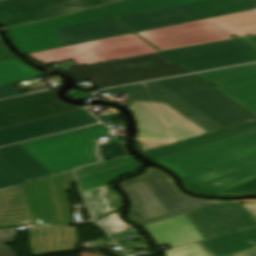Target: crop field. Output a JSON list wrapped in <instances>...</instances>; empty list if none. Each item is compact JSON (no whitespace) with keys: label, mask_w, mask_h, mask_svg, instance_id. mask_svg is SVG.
I'll use <instances>...</instances> for the list:
<instances>
[{"label":"crop field","mask_w":256,"mask_h":256,"mask_svg":"<svg viewBox=\"0 0 256 256\" xmlns=\"http://www.w3.org/2000/svg\"><path fill=\"white\" fill-rule=\"evenodd\" d=\"M96 223L103 227L110 235L133 229L132 226L125 224L119 219L118 212L106 216L96 221Z\"/></svg>","instance_id":"27"},{"label":"crop field","mask_w":256,"mask_h":256,"mask_svg":"<svg viewBox=\"0 0 256 256\" xmlns=\"http://www.w3.org/2000/svg\"><path fill=\"white\" fill-rule=\"evenodd\" d=\"M256 114V64L197 74Z\"/></svg>","instance_id":"17"},{"label":"crop field","mask_w":256,"mask_h":256,"mask_svg":"<svg viewBox=\"0 0 256 256\" xmlns=\"http://www.w3.org/2000/svg\"><path fill=\"white\" fill-rule=\"evenodd\" d=\"M73 181L70 172L22 186L34 226L72 223L66 191Z\"/></svg>","instance_id":"10"},{"label":"crop field","mask_w":256,"mask_h":256,"mask_svg":"<svg viewBox=\"0 0 256 256\" xmlns=\"http://www.w3.org/2000/svg\"><path fill=\"white\" fill-rule=\"evenodd\" d=\"M144 228L157 245L167 244L170 248L204 240L185 214L144 226Z\"/></svg>","instance_id":"20"},{"label":"crop field","mask_w":256,"mask_h":256,"mask_svg":"<svg viewBox=\"0 0 256 256\" xmlns=\"http://www.w3.org/2000/svg\"><path fill=\"white\" fill-rule=\"evenodd\" d=\"M166 256H209L194 244L165 251Z\"/></svg>","instance_id":"30"},{"label":"crop field","mask_w":256,"mask_h":256,"mask_svg":"<svg viewBox=\"0 0 256 256\" xmlns=\"http://www.w3.org/2000/svg\"><path fill=\"white\" fill-rule=\"evenodd\" d=\"M64 47L130 34L111 19L57 29Z\"/></svg>","instance_id":"21"},{"label":"crop field","mask_w":256,"mask_h":256,"mask_svg":"<svg viewBox=\"0 0 256 256\" xmlns=\"http://www.w3.org/2000/svg\"><path fill=\"white\" fill-rule=\"evenodd\" d=\"M14 55L4 46L2 41H0V59L13 57Z\"/></svg>","instance_id":"33"},{"label":"crop field","mask_w":256,"mask_h":256,"mask_svg":"<svg viewBox=\"0 0 256 256\" xmlns=\"http://www.w3.org/2000/svg\"><path fill=\"white\" fill-rule=\"evenodd\" d=\"M186 215L205 239L256 225L239 203H223Z\"/></svg>","instance_id":"16"},{"label":"crop field","mask_w":256,"mask_h":256,"mask_svg":"<svg viewBox=\"0 0 256 256\" xmlns=\"http://www.w3.org/2000/svg\"><path fill=\"white\" fill-rule=\"evenodd\" d=\"M251 9H256V0H204L116 18V20L137 33Z\"/></svg>","instance_id":"6"},{"label":"crop field","mask_w":256,"mask_h":256,"mask_svg":"<svg viewBox=\"0 0 256 256\" xmlns=\"http://www.w3.org/2000/svg\"><path fill=\"white\" fill-rule=\"evenodd\" d=\"M46 76L25 65L19 59L0 61V85Z\"/></svg>","instance_id":"26"},{"label":"crop field","mask_w":256,"mask_h":256,"mask_svg":"<svg viewBox=\"0 0 256 256\" xmlns=\"http://www.w3.org/2000/svg\"><path fill=\"white\" fill-rule=\"evenodd\" d=\"M243 206L251 215L256 214V204H243Z\"/></svg>","instance_id":"35"},{"label":"crop field","mask_w":256,"mask_h":256,"mask_svg":"<svg viewBox=\"0 0 256 256\" xmlns=\"http://www.w3.org/2000/svg\"><path fill=\"white\" fill-rule=\"evenodd\" d=\"M256 34V10L137 33L163 50Z\"/></svg>","instance_id":"3"},{"label":"crop field","mask_w":256,"mask_h":256,"mask_svg":"<svg viewBox=\"0 0 256 256\" xmlns=\"http://www.w3.org/2000/svg\"><path fill=\"white\" fill-rule=\"evenodd\" d=\"M52 176L18 145L0 149V189Z\"/></svg>","instance_id":"19"},{"label":"crop field","mask_w":256,"mask_h":256,"mask_svg":"<svg viewBox=\"0 0 256 256\" xmlns=\"http://www.w3.org/2000/svg\"><path fill=\"white\" fill-rule=\"evenodd\" d=\"M192 72L256 62V50L240 39L164 51Z\"/></svg>","instance_id":"11"},{"label":"crop field","mask_w":256,"mask_h":256,"mask_svg":"<svg viewBox=\"0 0 256 256\" xmlns=\"http://www.w3.org/2000/svg\"><path fill=\"white\" fill-rule=\"evenodd\" d=\"M256 153V132L155 160L181 179Z\"/></svg>","instance_id":"8"},{"label":"crop field","mask_w":256,"mask_h":256,"mask_svg":"<svg viewBox=\"0 0 256 256\" xmlns=\"http://www.w3.org/2000/svg\"><path fill=\"white\" fill-rule=\"evenodd\" d=\"M98 123L85 110L0 130V147Z\"/></svg>","instance_id":"18"},{"label":"crop field","mask_w":256,"mask_h":256,"mask_svg":"<svg viewBox=\"0 0 256 256\" xmlns=\"http://www.w3.org/2000/svg\"><path fill=\"white\" fill-rule=\"evenodd\" d=\"M102 19L108 17L94 8L45 22L9 28L8 32L17 47L28 54L63 47L55 32L57 28Z\"/></svg>","instance_id":"12"},{"label":"crop field","mask_w":256,"mask_h":256,"mask_svg":"<svg viewBox=\"0 0 256 256\" xmlns=\"http://www.w3.org/2000/svg\"><path fill=\"white\" fill-rule=\"evenodd\" d=\"M212 256H232L256 249V226L196 242Z\"/></svg>","instance_id":"23"},{"label":"crop field","mask_w":256,"mask_h":256,"mask_svg":"<svg viewBox=\"0 0 256 256\" xmlns=\"http://www.w3.org/2000/svg\"><path fill=\"white\" fill-rule=\"evenodd\" d=\"M33 255L75 249L78 243L74 227L30 229Z\"/></svg>","instance_id":"24"},{"label":"crop field","mask_w":256,"mask_h":256,"mask_svg":"<svg viewBox=\"0 0 256 256\" xmlns=\"http://www.w3.org/2000/svg\"><path fill=\"white\" fill-rule=\"evenodd\" d=\"M120 184L131 201L129 218L141 226L223 203L191 198L177 190L169 176L153 168Z\"/></svg>","instance_id":"2"},{"label":"crop field","mask_w":256,"mask_h":256,"mask_svg":"<svg viewBox=\"0 0 256 256\" xmlns=\"http://www.w3.org/2000/svg\"><path fill=\"white\" fill-rule=\"evenodd\" d=\"M98 153L103 161L125 156L126 152L122 141H110V143L99 146Z\"/></svg>","instance_id":"28"},{"label":"crop field","mask_w":256,"mask_h":256,"mask_svg":"<svg viewBox=\"0 0 256 256\" xmlns=\"http://www.w3.org/2000/svg\"><path fill=\"white\" fill-rule=\"evenodd\" d=\"M15 229L0 230V256H16L5 244L14 242Z\"/></svg>","instance_id":"29"},{"label":"crop field","mask_w":256,"mask_h":256,"mask_svg":"<svg viewBox=\"0 0 256 256\" xmlns=\"http://www.w3.org/2000/svg\"><path fill=\"white\" fill-rule=\"evenodd\" d=\"M193 1L198 0H123L98 8L116 18Z\"/></svg>","instance_id":"25"},{"label":"crop field","mask_w":256,"mask_h":256,"mask_svg":"<svg viewBox=\"0 0 256 256\" xmlns=\"http://www.w3.org/2000/svg\"><path fill=\"white\" fill-rule=\"evenodd\" d=\"M86 1H88L89 3L97 6V5H101V4H104V3L112 2V1H115V0H86Z\"/></svg>","instance_id":"36"},{"label":"crop field","mask_w":256,"mask_h":256,"mask_svg":"<svg viewBox=\"0 0 256 256\" xmlns=\"http://www.w3.org/2000/svg\"><path fill=\"white\" fill-rule=\"evenodd\" d=\"M107 134L108 130L98 125L19 146L55 175L97 162L94 146L99 143L100 137H106Z\"/></svg>","instance_id":"4"},{"label":"crop field","mask_w":256,"mask_h":256,"mask_svg":"<svg viewBox=\"0 0 256 256\" xmlns=\"http://www.w3.org/2000/svg\"><path fill=\"white\" fill-rule=\"evenodd\" d=\"M156 52L134 34L86 43L82 45L28 54L48 65L72 60L77 66Z\"/></svg>","instance_id":"9"},{"label":"crop field","mask_w":256,"mask_h":256,"mask_svg":"<svg viewBox=\"0 0 256 256\" xmlns=\"http://www.w3.org/2000/svg\"><path fill=\"white\" fill-rule=\"evenodd\" d=\"M77 82L91 81L99 89L188 74L162 53L63 70Z\"/></svg>","instance_id":"5"},{"label":"crop field","mask_w":256,"mask_h":256,"mask_svg":"<svg viewBox=\"0 0 256 256\" xmlns=\"http://www.w3.org/2000/svg\"><path fill=\"white\" fill-rule=\"evenodd\" d=\"M236 256H256V250L249 251V252L239 254V255H236Z\"/></svg>","instance_id":"37"},{"label":"crop field","mask_w":256,"mask_h":256,"mask_svg":"<svg viewBox=\"0 0 256 256\" xmlns=\"http://www.w3.org/2000/svg\"><path fill=\"white\" fill-rule=\"evenodd\" d=\"M56 91L0 101V128L47 118L77 110L55 97Z\"/></svg>","instance_id":"13"},{"label":"crop field","mask_w":256,"mask_h":256,"mask_svg":"<svg viewBox=\"0 0 256 256\" xmlns=\"http://www.w3.org/2000/svg\"><path fill=\"white\" fill-rule=\"evenodd\" d=\"M242 40L256 49V36L242 38Z\"/></svg>","instance_id":"34"},{"label":"crop field","mask_w":256,"mask_h":256,"mask_svg":"<svg viewBox=\"0 0 256 256\" xmlns=\"http://www.w3.org/2000/svg\"><path fill=\"white\" fill-rule=\"evenodd\" d=\"M96 92H124L133 100L138 138L178 142L207 132L256 120V116L233 103L193 75Z\"/></svg>","instance_id":"1"},{"label":"crop field","mask_w":256,"mask_h":256,"mask_svg":"<svg viewBox=\"0 0 256 256\" xmlns=\"http://www.w3.org/2000/svg\"><path fill=\"white\" fill-rule=\"evenodd\" d=\"M88 7L82 0H8L0 2V22L8 27Z\"/></svg>","instance_id":"15"},{"label":"crop field","mask_w":256,"mask_h":256,"mask_svg":"<svg viewBox=\"0 0 256 256\" xmlns=\"http://www.w3.org/2000/svg\"><path fill=\"white\" fill-rule=\"evenodd\" d=\"M17 90L12 84L0 86V99L20 96L21 94Z\"/></svg>","instance_id":"32"},{"label":"crop field","mask_w":256,"mask_h":256,"mask_svg":"<svg viewBox=\"0 0 256 256\" xmlns=\"http://www.w3.org/2000/svg\"><path fill=\"white\" fill-rule=\"evenodd\" d=\"M256 178V154L183 179L197 194L216 195Z\"/></svg>","instance_id":"14"},{"label":"crop field","mask_w":256,"mask_h":256,"mask_svg":"<svg viewBox=\"0 0 256 256\" xmlns=\"http://www.w3.org/2000/svg\"><path fill=\"white\" fill-rule=\"evenodd\" d=\"M256 194V179L248 183H245L239 187L229 190L219 196H244V195H254Z\"/></svg>","instance_id":"31"},{"label":"crop field","mask_w":256,"mask_h":256,"mask_svg":"<svg viewBox=\"0 0 256 256\" xmlns=\"http://www.w3.org/2000/svg\"><path fill=\"white\" fill-rule=\"evenodd\" d=\"M137 162L127 156L74 171L94 220L120 210L121 197L109 183L138 171L141 164Z\"/></svg>","instance_id":"7"},{"label":"crop field","mask_w":256,"mask_h":256,"mask_svg":"<svg viewBox=\"0 0 256 256\" xmlns=\"http://www.w3.org/2000/svg\"><path fill=\"white\" fill-rule=\"evenodd\" d=\"M253 131H256V121L143 152L155 160Z\"/></svg>","instance_id":"22"},{"label":"crop field","mask_w":256,"mask_h":256,"mask_svg":"<svg viewBox=\"0 0 256 256\" xmlns=\"http://www.w3.org/2000/svg\"><path fill=\"white\" fill-rule=\"evenodd\" d=\"M0 1H3V0H0Z\"/></svg>","instance_id":"38"}]
</instances>
